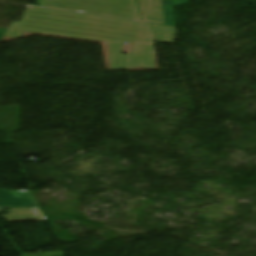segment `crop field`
Instances as JSON below:
<instances>
[{"label": "crop field", "instance_id": "crop-field-1", "mask_svg": "<svg viewBox=\"0 0 256 256\" xmlns=\"http://www.w3.org/2000/svg\"><path fill=\"white\" fill-rule=\"evenodd\" d=\"M24 31L109 42L111 69L155 68L151 24L27 8L22 21L13 23L4 36L21 38ZM122 42H135L134 52L124 55Z\"/></svg>", "mask_w": 256, "mask_h": 256}, {"label": "crop field", "instance_id": "crop-field-2", "mask_svg": "<svg viewBox=\"0 0 256 256\" xmlns=\"http://www.w3.org/2000/svg\"><path fill=\"white\" fill-rule=\"evenodd\" d=\"M42 7L141 20L136 0H37Z\"/></svg>", "mask_w": 256, "mask_h": 256}, {"label": "crop field", "instance_id": "crop-field-3", "mask_svg": "<svg viewBox=\"0 0 256 256\" xmlns=\"http://www.w3.org/2000/svg\"><path fill=\"white\" fill-rule=\"evenodd\" d=\"M0 206L38 207L30 191H0Z\"/></svg>", "mask_w": 256, "mask_h": 256}, {"label": "crop field", "instance_id": "crop-field-4", "mask_svg": "<svg viewBox=\"0 0 256 256\" xmlns=\"http://www.w3.org/2000/svg\"><path fill=\"white\" fill-rule=\"evenodd\" d=\"M143 21L165 24L161 0H138Z\"/></svg>", "mask_w": 256, "mask_h": 256}, {"label": "crop field", "instance_id": "crop-field-5", "mask_svg": "<svg viewBox=\"0 0 256 256\" xmlns=\"http://www.w3.org/2000/svg\"><path fill=\"white\" fill-rule=\"evenodd\" d=\"M44 215V214H43ZM40 209H10V215H0L9 222L45 220Z\"/></svg>", "mask_w": 256, "mask_h": 256}, {"label": "crop field", "instance_id": "crop-field-6", "mask_svg": "<svg viewBox=\"0 0 256 256\" xmlns=\"http://www.w3.org/2000/svg\"><path fill=\"white\" fill-rule=\"evenodd\" d=\"M153 38L155 41L174 44L176 28L152 24Z\"/></svg>", "mask_w": 256, "mask_h": 256}, {"label": "crop field", "instance_id": "crop-field-7", "mask_svg": "<svg viewBox=\"0 0 256 256\" xmlns=\"http://www.w3.org/2000/svg\"><path fill=\"white\" fill-rule=\"evenodd\" d=\"M166 25L175 26L173 6L189 4L188 0H162Z\"/></svg>", "mask_w": 256, "mask_h": 256}, {"label": "crop field", "instance_id": "crop-field-8", "mask_svg": "<svg viewBox=\"0 0 256 256\" xmlns=\"http://www.w3.org/2000/svg\"><path fill=\"white\" fill-rule=\"evenodd\" d=\"M22 256H65L63 252H51V253H30L21 254Z\"/></svg>", "mask_w": 256, "mask_h": 256}]
</instances>
